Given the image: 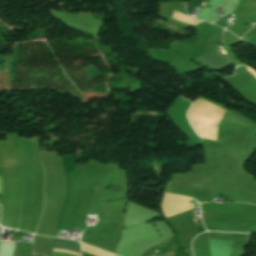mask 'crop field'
<instances>
[{
    "label": "crop field",
    "instance_id": "obj_3",
    "mask_svg": "<svg viewBox=\"0 0 256 256\" xmlns=\"http://www.w3.org/2000/svg\"><path fill=\"white\" fill-rule=\"evenodd\" d=\"M82 256H112L107 252L81 244Z\"/></svg>",
    "mask_w": 256,
    "mask_h": 256
},
{
    "label": "crop field",
    "instance_id": "obj_2",
    "mask_svg": "<svg viewBox=\"0 0 256 256\" xmlns=\"http://www.w3.org/2000/svg\"><path fill=\"white\" fill-rule=\"evenodd\" d=\"M195 62L208 67L209 69L212 70H222L226 68L227 66L231 65L217 57H208L204 54L192 59Z\"/></svg>",
    "mask_w": 256,
    "mask_h": 256
},
{
    "label": "crop field",
    "instance_id": "obj_1",
    "mask_svg": "<svg viewBox=\"0 0 256 256\" xmlns=\"http://www.w3.org/2000/svg\"><path fill=\"white\" fill-rule=\"evenodd\" d=\"M53 249L54 250H60V251L80 253L78 242L65 240V239H54ZM54 250H53V252H57V253L76 254V253L60 252V251H54ZM57 253H53V256H77V255H81V254L67 255V254H57Z\"/></svg>",
    "mask_w": 256,
    "mask_h": 256
},
{
    "label": "crop field",
    "instance_id": "obj_4",
    "mask_svg": "<svg viewBox=\"0 0 256 256\" xmlns=\"http://www.w3.org/2000/svg\"><path fill=\"white\" fill-rule=\"evenodd\" d=\"M202 6H204V3H202Z\"/></svg>",
    "mask_w": 256,
    "mask_h": 256
}]
</instances>
